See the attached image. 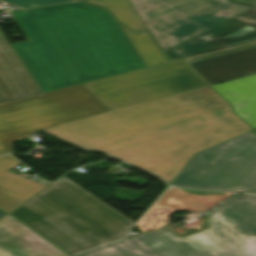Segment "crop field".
Segmentation results:
<instances>
[{"label": "crop field", "mask_w": 256, "mask_h": 256, "mask_svg": "<svg viewBox=\"0 0 256 256\" xmlns=\"http://www.w3.org/2000/svg\"><path fill=\"white\" fill-rule=\"evenodd\" d=\"M250 130L206 87L43 131L118 157L169 184L195 152Z\"/></svg>", "instance_id": "1"}, {"label": "crop field", "mask_w": 256, "mask_h": 256, "mask_svg": "<svg viewBox=\"0 0 256 256\" xmlns=\"http://www.w3.org/2000/svg\"><path fill=\"white\" fill-rule=\"evenodd\" d=\"M12 14L30 41L11 46L42 93L146 67L105 9L76 2Z\"/></svg>", "instance_id": "2"}, {"label": "crop field", "mask_w": 256, "mask_h": 256, "mask_svg": "<svg viewBox=\"0 0 256 256\" xmlns=\"http://www.w3.org/2000/svg\"><path fill=\"white\" fill-rule=\"evenodd\" d=\"M10 214L70 255L123 237L135 224L64 177Z\"/></svg>", "instance_id": "3"}, {"label": "crop field", "mask_w": 256, "mask_h": 256, "mask_svg": "<svg viewBox=\"0 0 256 256\" xmlns=\"http://www.w3.org/2000/svg\"><path fill=\"white\" fill-rule=\"evenodd\" d=\"M75 256H256V195H236L208 213L206 230L179 238L165 228Z\"/></svg>", "instance_id": "4"}, {"label": "crop field", "mask_w": 256, "mask_h": 256, "mask_svg": "<svg viewBox=\"0 0 256 256\" xmlns=\"http://www.w3.org/2000/svg\"><path fill=\"white\" fill-rule=\"evenodd\" d=\"M106 111L84 84L0 104V155L31 133Z\"/></svg>", "instance_id": "5"}, {"label": "crop field", "mask_w": 256, "mask_h": 256, "mask_svg": "<svg viewBox=\"0 0 256 256\" xmlns=\"http://www.w3.org/2000/svg\"><path fill=\"white\" fill-rule=\"evenodd\" d=\"M170 185L256 193V135L250 131L195 153Z\"/></svg>", "instance_id": "6"}, {"label": "crop field", "mask_w": 256, "mask_h": 256, "mask_svg": "<svg viewBox=\"0 0 256 256\" xmlns=\"http://www.w3.org/2000/svg\"><path fill=\"white\" fill-rule=\"evenodd\" d=\"M162 51L252 7L228 0H129Z\"/></svg>", "instance_id": "7"}, {"label": "crop field", "mask_w": 256, "mask_h": 256, "mask_svg": "<svg viewBox=\"0 0 256 256\" xmlns=\"http://www.w3.org/2000/svg\"><path fill=\"white\" fill-rule=\"evenodd\" d=\"M85 85L111 110L207 86L183 60L92 81Z\"/></svg>", "instance_id": "8"}, {"label": "crop field", "mask_w": 256, "mask_h": 256, "mask_svg": "<svg viewBox=\"0 0 256 256\" xmlns=\"http://www.w3.org/2000/svg\"><path fill=\"white\" fill-rule=\"evenodd\" d=\"M256 41V8L253 7L167 51L168 60Z\"/></svg>", "instance_id": "9"}, {"label": "crop field", "mask_w": 256, "mask_h": 256, "mask_svg": "<svg viewBox=\"0 0 256 256\" xmlns=\"http://www.w3.org/2000/svg\"><path fill=\"white\" fill-rule=\"evenodd\" d=\"M189 58L184 60L212 85L256 73V42Z\"/></svg>", "instance_id": "10"}, {"label": "crop field", "mask_w": 256, "mask_h": 256, "mask_svg": "<svg viewBox=\"0 0 256 256\" xmlns=\"http://www.w3.org/2000/svg\"><path fill=\"white\" fill-rule=\"evenodd\" d=\"M0 256L67 255L8 215L0 221Z\"/></svg>", "instance_id": "11"}, {"label": "crop field", "mask_w": 256, "mask_h": 256, "mask_svg": "<svg viewBox=\"0 0 256 256\" xmlns=\"http://www.w3.org/2000/svg\"><path fill=\"white\" fill-rule=\"evenodd\" d=\"M41 94L0 30V103Z\"/></svg>", "instance_id": "12"}, {"label": "crop field", "mask_w": 256, "mask_h": 256, "mask_svg": "<svg viewBox=\"0 0 256 256\" xmlns=\"http://www.w3.org/2000/svg\"><path fill=\"white\" fill-rule=\"evenodd\" d=\"M19 164L9 155L0 160V208L8 213L45 187L8 172Z\"/></svg>", "instance_id": "13"}, {"label": "crop field", "mask_w": 256, "mask_h": 256, "mask_svg": "<svg viewBox=\"0 0 256 256\" xmlns=\"http://www.w3.org/2000/svg\"><path fill=\"white\" fill-rule=\"evenodd\" d=\"M211 87L232 105L235 114L256 128V74Z\"/></svg>", "instance_id": "14"}, {"label": "crop field", "mask_w": 256, "mask_h": 256, "mask_svg": "<svg viewBox=\"0 0 256 256\" xmlns=\"http://www.w3.org/2000/svg\"><path fill=\"white\" fill-rule=\"evenodd\" d=\"M121 27L127 34L128 38L140 54L147 67L167 62L148 32L134 33L122 25Z\"/></svg>", "instance_id": "15"}, {"label": "crop field", "mask_w": 256, "mask_h": 256, "mask_svg": "<svg viewBox=\"0 0 256 256\" xmlns=\"http://www.w3.org/2000/svg\"><path fill=\"white\" fill-rule=\"evenodd\" d=\"M87 2L109 9L119 22L135 31L146 30V27L136 14L128 0H86Z\"/></svg>", "instance_id": "16"}, {"label": "crop field", "mask_w": 256, "mask_h": 256, "mask_svg": "<svg viewBox=\"0 0 256 256\" xmlns=\"http://www.w3.org/2000/svg\"><path fill=\"white\" fill-rule=\"evenodd\" d=\"M2 1L8 2L12 5L27 8V7L54 4V3L74 1V0H2Z\"/></svg>", "instance_id": "17"}, {"label": "crop field", "mask_w": 256, "mask_h": 256, "mask_svg": "<svg viewBox=\"0 0 256 256\" xmlns=\"http://www.w3.org/2000/svg\"><path fill=\"white\" fill-rule=\"evenodd\" d=\"M5 214H7V213H5V212H3V211L0 210V218H1L2 216H4Z\"/></svg>", "instance_id": "18"}, {"label": "crop field", "mask_w": 256, "mask_h": 256, "mask_svg": "<svg viewBox=\"0 0 256 256\" xmlns=\"http://www.w3.org/2000/svg\"><path fill=\"white\" fill-rule=\"evenodd\" d=\"M3 157H4V156L0 157V159L3 158Z\"/></svg>", "instance_id": "19"}, {"label": "crop field", "mask_w": 256, "mask_h": 256, "mask_svg": "<svg viewBox=\"0 0 256 256\" xmlns=\"http://www.w3.org/2000/svg\"><path fill=\"white\" fill-rule=\"evenodd\" d=\"M255 131H256V129H255Z\"/></svg>", "instance_id": "20"}]
</instances>
